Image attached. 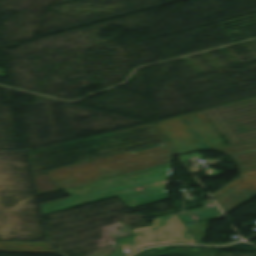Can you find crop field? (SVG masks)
<instances>
[{
    "label": "crop field",
    "instance_id": "2",
    "mask_svg": "<svg viewBox=\"0 0 256 256\" xmlns=\"http://www.w3.org/2000/svg\"><path fill=\"white\" fill-rule=\"evenodd\" d=\"M136 236L116 239L121 248L110 256H127L146 246L173 243H194L176 214L155 218L153 226L133 230Z\"/></svg>",
    "mask_w": 256,
    "mask_h": 256
},
{
    "label": "crop field",
    "instance_id": "3",
    "mask_svg": "<svg viewBox=\"0 0 256 256\" xmlns=\"http://www.w3.org/2000/svg\"><path fill=\"white\" fill-rule=\"evenodd\" d=\"M219 151L231 156L239 164L240 172L256 169V142Z\"/></svg>",
    "mask_w": 256,
    "mask_h": 256
},
{
    "label": "crop field",
    "instance_id": "5",
    "mask_svg": "<svg viewBox=\"0 0 256 256\" xmlns=\"http://www.w3.org/2000/svg\"><path fill=\"white\" fill-rule=\"evenodd\" d=\"M192 131L195 133L199 141L202 143L205 149H216L201 127L193 128Z\"/></svg>",
    "mask_w": 256,
    "mask_h": 256
},
{
    "label": "crop field",
    "instance_id": "4",
    "mask_svg": "<svg viewBox=\"0 0 256 256\" xmlns=\"http://www.w3.org/2000/svg\"><path fill=\"white\" fill-rule=\"evenodd\" d=\"M34 181L38 195L60 190L53 181H51L44 173L34 176Z\"/></svg>",
    "mask_w": 256,
    "mask_h": 256
},
{
    "label": "crop field",
    "instance_id": "6",
    "mask_svg": "<svg viewBox=\"0 0 256 256\" xmlns=\"http://www.w3.org/2000/svg\"><path fill=\"white\" fill-rule=\"evenodd\" d=\"M254 102V101H253ZM248 106V105H247ZM244 107V106H243ZM216 108V107H215ZM218 111V110H217ZM220 114V113H219ZM223 118V117H222ZM225 121V120H224ZM230 128V127H229ZM243 128V127H242ZM238 129V128H237ZM242 134V133H241ZM235 135V134H234ZM238 139V138H237ZM241 143V142H240Z\"/></svg>",
    "mask_w": 256,
    "mask_h": 256
},
{
    "label": "crop field",
    "instance_id": "1",
    "mask_svg": "<svg viewBox=\"0 0 256 256\" xmlns=\"http://www.w3.org/2000/svg\"><path fill=\"white\" fill-rule=\"evenodd\" d=\"M173 153L166 143L46 172L62 189L91 181L171 162Z\"/></svg>",
    "mask_w": 256,
    "mask_h": 256
}]
</instances>
